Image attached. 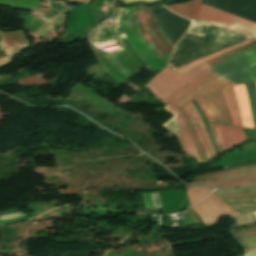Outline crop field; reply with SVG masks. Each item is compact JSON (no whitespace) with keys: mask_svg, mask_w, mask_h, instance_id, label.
<instances>
[{"mask_svg":"<svg viewBox=\"0 0 256 256\" xmlns=\"http://www.w3.org/2000/svg\"><path fill=\"white\" fill-rule=\"evenodd\" d=\"M253 174H256V166L227 170V171H222V172H218L210 175L196 176L194 181L215 180V179L231 178V177L253 175Z\"/></svg>","mask_w":256,"mask_h":256,"instance_id":"crop-field-11","label":"crop field"},{"mask_svg":"<svg viewBox=\"0 0 256 256\" xmlns=\"http://www.w3.org/2000/svg\"><path fill=\"white\" fill-rule=\"evenodd\" d=\"M191 208L207 227L215 226L221 216L235 212L213 193Z\"/></svg>","mask_w":256,"mask_h":256,"instance_id":"crop-field-6","label":"crop field"},{"mask_svg":"<svg viewBox=\"0 0 256 256\" xmlns=\"http://www.w3.org/2000/svg\"><path fill=\"white\" fill-rule=\"evenodd\" d=\"M199 127H200V129H201V131H202V133H203V136H204V138H205L207 144H208V147H209V149H210V152H211V154H212V157L217 156L216 153H215V151H214V149H213V147H212V145H211V143H210V140H209L208 134H207V132H206L205 126H204V125H201V126H199Z\"/></svg>","mask_w":256,"mask_h":256,"instance_id":"crop-field-22","label":"crop field"},{"mask_svg":"<svg viewBox=\"0 0 256 256\" xmlns=\"http://www.w3.org/2000/svg\"><path fill=\"white\" fill-rule=\"evenodd\" d=\"M206 98L208 99V101L210 102L211 106L213 107L214 111H215V114L217 116V119L219 122H223L222 119H221V115H220V112L219 110L217 109L216 105L214 104V102L211 100V98L209 97V95H206Z\"/></svg>","mask_w":256,"mask_h":256,"instance_id":"crop-field-24","label":"crop field"},{"mask_svg":"<svg viewBox=\"0 0 256 256\" xmlns=\"http://www.w3.org/2000/svg\"><path fill=\"white\" fill-rule=\"evenodd\" d=\"M0 49L12 60L22 50L31 48L23 31L0 32Z\"/></svg>","mask_w":256,"mask_h":256,"instance_id":"crop-field-9","label":"crop field"},{"mask_svg":"<svg viewBox=\"0 0 256 256\" xmlns=\"http://www.w3.org/2000/svg\"><path fill=\"white\" fill-rule=\"evenodd\" d=\"M254 40H256V39L251 38V39H249V40H246V41H244V42H241V43H239V44H236V45H234V46H232V47H230V48H227V49L222 50V51H220V52H218V53H215V54L210 55V56H208V57H206V58H203V59L198 60V61H196V62H194V63H191V64H189V65H187V66H184V67H182V68L176 70V72L181 75V74H183L184 72H186V71H188L189 69H191L192 67H194V66H196V65H198V64H200V63H202V62H204V61H206V60H208V59H210V58H212V57H215V56H217V55H219V54H221V53H224V52H226V51H229V50H231V49H233V48H236V47H238V46H241V45H243V44L252 42V41H254Z\"/></svg>","mask_w":256,"mask_h":256,"instance_id":"crop-field-18","label":"crop field"},{"mask_svg":"<svg viewBox=\"0 0 256 256\" xmlns=\"http://www.w3.org/2000/svg\"><path fill=\"white\" fill-rule=\"evenodd\" d=\"M181 114H182V116L184 118V121H185V123L187 125V128H188L190 134H191V137H192V139L194 141V144L196 146V149H197V151L199 153V156H200L203 164H207L208 162L206 160V156H205V153L203 151V148H202V146H201V144H200V142H199V140L197 138L195 130H194V128H193V126H192V124L190 122L189 116H188L187 112L185 111L184 107L181 109Z\"/></svg>","mask_w":256,"mask_h":256,"instance_id":"crop-field-14","label":"crop field"},{"mask_svg":"<svg viewBox=\"0 0 256 256\" xmlns=\"http://www.w3.org/2000/svg\"><path fill=\"white\" fill-rule=\"evenodd\" d=\"M11 62H12L11 60H9L7 57H5L3 59H0V66L7 65V64H9Z\"/></svg>","mask_w":256,"mask_h":256,"instance_id":"crop-field-26","label":"crop field"},{"mask_svg":"<svg viewBox=\"0 0 256 256\" xmlns=\"http://www.w3.org/2000/svg\"><path fill=\"white\" fill-rule=\"evenodd\" d=\"M198 18L221 27L256 37V24L210 6L200 5Z\"/></svg>","mask_w":256,"mask_h":256,"instance_id":"crop-field-5","label":"crop field"},{"mask_svg":"<svg viewBox=\"0 0 256 256\" xmlns=\"http://www.w3.org/2000/svg\"><path fill=\"white\" fill-rule=\"evenodd\" d=\"M200 1L201 0H192L184 4L171 5L168 6V8L192 20H198L196 19V15Z\"/></svg>","mask_w":256,"mask_h":256,"instance_id":"crop-field-13","label":"crop field"},{"mask_svg":"<svg viewBox=\"0 0 256 256\" xmlns=\"http://www.w3.org/2000/svg\"><path fill=\"white\" fill-rule=\"evenodd\" d=\"M231 233L239 243L256 241V226L233 231Z\"/></svg>","mask_w":256,"mask_h":256,"instance_id":"crop-field-15","label":"crop field"},{"mask_svg":"<svg viewBox=\"0 0 256 256\" xmlns=\"http://www.w3.org/2000/svg\"><path fill=\"white\" fill-rule=\"evenodd\" d=\"M221 92H222L224 100L231 112L233 125L242 127L241 115H240V111L238 108V104H237V100H236L233 88L232 87L227 88L225 90H222Z\"/></svg>","mask_w":256,"mask_h":256,"instance_id":"crop-field-12","label":"crop field"},{"mask_svg":"<svg viewBox=\"0 0 256 256\" xmlns=\"http://www.w3.org/2000/svg\"><path fill=\"white\" fill-rule=\"evenodd\" d=\"M215 137L220 152L246 142L242 129L223 124L209 125Z\"/></svg>","mask_w":256,"mask_h":256,"instance_id":"crop-field-8","label":"crop field"},{"mask_svg":"<svg viewBox=\"0 0 256 256\" xmlns=\"http://www.w3.org/2000/svg\"><path fill=\"white\" fill-rule=\"evenodd\" d=\"M184 107H185V109L187 110V112H188V114H189V116H190V118H191L193 124H197L196 121H195V119H194V116H193L191 110L188 108V106L186 105V106H184Z\"/></svg>","mask_w":256,"mask_h":256,"instance_id":"crop-field-27","label":"crop field"},{"mask_svg":"<svg viewBox=\"0 0 256 256\" xmlns=\"http://www.w3.org/2000/svg\"><path fill=\"white\" fill-rule=\"evenodd\" d=\"M160 0H122L124 4H129V3H138V2H147V3H154Z\"/></svg>","mask_w":256,"mask_h":256,"instance_id":"crop-field-25","label":"crop field"},{"mask_svg":"<svg viewBox=\"0 0 256 256\" xmlns=\"http://www.w3.org/2000/svg\"><path fill=\"white\" fill-rule=\"evenodd\" d=\"M196 102L199 104V106L201 107V109L203 110L205 115L207 116L209 123L218 122L217 119H216V116H215L209 102L205 98V96L196 99Z\"/></svg>","mask_w":256,"mask_h":256,"instance_id":"crop-field-20","label":"crop field"},{"mask_svg":"<svg viewBox=\"0 0 256 256\" xmlns=\"http://www.w3.org/2000/svg\"><path fill=\"white\" fill-rule=\"evenodd\" d=\"M72 3L74 2H79V3H84V4H89L90 3V0H68Z\"/></svg>","mask_w":256,"mask_h":256,"instance_id":"crop-field-29","label":"crop field"},{"mask_svg":"<svg viewBox=\"0 0 256 256\" xmlns=\"http://www.w3.org/2000/svg\"><path fill=\"white\" fill-rule=\"evenodd\" d=\"M234 89L242 115L243 127L254 128L244 84L235 86Z\"/></svg>","mask_w":256,"mask_h":256,"instance_id":"crop-field-10","label":"crop field"},{"mask_svg":"<svg viewBox=\"0 0 256 256\" xmlns=\"http://www.w3.org/2000/svg\"><path fill=\"white\" fill-rule=\"evenodd\" d=\"M253 49H256V41L221 54L204 63L207 64L209 67H212L224 60L251 51ZM204 63L196 66L195 68L191 69L190 71L186 72L181 76L174 73L170 68H166L148 85V87L162 100L171 93H173L175 90H177L179 87H181L192 77L209 68Z\"/></svg>","mask_w":256,"mask_h":256,"instance_id":"crop-field-2","label":"crop field"},{"mask_svg":"<svg viewBox=\"0 0 256 256\" xmlns=\"http://www.w3.org/2000/svg\"><path fill=\"white\" fill-rule=\"evenodd\" d=\"M163 108L166 109L171 114H173L174 116L170 118L162 126L176 135V137L180 142L183 152L195 157L198 163H202L197 154L193 141L190 137V134L186 128V125L182 119V116L179 110L171 104Z\"/></svg>","mask_w":256,"mask_h":256,"instance_id":"crop-field-7","label":"crop field"},{"mask_svg":"<svg viewBox=\"0 0 256 256\" xmlns=\"http://www.w3.org/2000/svg\"><path fill=\"white\" fill-rule=\"evenodd\" d=\"M185 189L191 205L205 198L209 193L212 192L208 189L193 186H186Z\"/></svg>","mask_w":256,"mask_h":256,"instance_id":"crop-field-16","label":"crop field"},{"mask_svg":"<svg viewBox=\"0 0 256 256\" xmlns=\"http://www.w3.org/2000/svg\"><path fill=\"white\" fill-rule=\"evenodd\" d=\"M122 23L127 39L139 57L155 70L164 69L172 51L159 57L143 38L137 19Z\"/></svg>","mask_w":256,"mask_h":256,"instance_id":"crop-field-4","label":"crop field"},{"mask_svg":"<svg viewBox=\"0 0 256 256\" xmlns=\"http://www.w3.org/2000/svg\"><path fill=\"white\" fill-rule=\"evenodd\" d=\"M245 252H256V248L244 249Z\"/></svg>","mask_w":256,"mask_h":256,"instance_id":"crop-field-30","label":"crop field"},{"mask_svg":"<svg viewBox=\"0 0 256 256\" xmlns=\"http://www.w3.org/2000/svg\"><path fill=\"white\" fill-rule=\"evenodd\" d=\"M237 85L215 70L209 68L192 78L173 94L162 100L165 104L172 103L181 108L190 101L203 95Z\"/></svg>","mask_w":256,"mask_h":256,"instance_id":"crop-field-3","label":"crop field"},{"mask_svg":"<svg viewBox=\"0 0 256 256\" xmlns=\"http://www.w3.org/2000/svg\"><path fill=\"white\" fill-rule=\"evenodd\" d=\"M244 248L256 247V242L242 244Z\"/></svg>","mask_w":256,"mask_h":256,"instance_id":"crop-field-28","label":"crop field"},{"mask_svg":"<svg viewBox=\"0 0 256 256\" xmlns=\"http://www.w3.org/2000/svg\"><path fill=\"white\" fill-rule=\"evenodd\" d=\"M189 106V108L193 111L194 115H195V118H196V121L198 124H203L202 123V119L198 113V111L196 110V108L194 107V105L191 103L187 104Z\"/></svg>","mask_w":256,"mask_h":256,"instance_id":"crop-field-23","label":"crop field"},{"mask_svg":"<svg viewBox=\"0 0 256 256\" xmlns=\"http://www.w3.org/2000/svg\"><path fill=\"white\" fill-rule=\"evenodd\" d=\"M194 127H195V130H196V132H197V134H198V136H199V139H200V141H201V143H202V146H203V148H204V151H205V153H206V155H207L208 160H211L212 157H211V155H210L209 149H208V147H207V144H206V142H205V140H204V138H203V136H202V133H201V131H200L198 125H194Z\"/></svg>","mask_w":256,"mask_h":256,"instance_id":"crop-field-21","label":"crop field"},{"mask_svg":"<svg viewBox=\"0 0 256 256\" xmlns=\"http://www.w3.org/2000/svg\"><path fill=\"white\" fill-rule=\"evenodd\" d=\"M245 86H246L248 99H249V103L252 111L254 126L256 128V84L250 83V84H245Z\"/></svg>","mask_w":256,"mask_h":256,"instance_id":"crop-field-19","label":"crop field"},{"mask_svg":"<svg viewBox=\"0 0 256 256\" xmlns=\"http://www.w3.org/2000/svg\"><path fill=\"white\" fill-rule=\"evenodd\" d=\"M250 37L222 30L209 24L193 22L179 42L170 66L173 70Z\"/></svg>","mask_w":256,"mask_h":256,"instance_id":"crop-field-1","label":"crop field"},{"mask_svg":"<svg viewBox=\"0 0 256 256\" xmlns=\"http://www.w3.org/2000/svg\"><path fill=\"white\" fill-rule=\"evenodd\" d=\"M210 97L213 99V101L215 102V104L217 105V107L219 108L221 114H222V117H223V121L225 123H228V124H231V117H230V113L227 109V106L223 100V97L221 95V92H216V93H213V94H210Z\"/></svg>","mask_w":256,"mask_h":256,"instance_id":"crop-field-17","label":"crop field"},{"mask_svg":"<svg viewBox=\"0 0 256 256\" xmlns=\"http://www.w3.org/2000/svg\"><path fill=\"white\" fill-rule=\"evenodd\" d=\"M255 131H256V129H255Z\"/></svg>","mask_w":256,"mask_h":256,"instance_id":"crop-field-31","label":"crop field"}]
</instances>
